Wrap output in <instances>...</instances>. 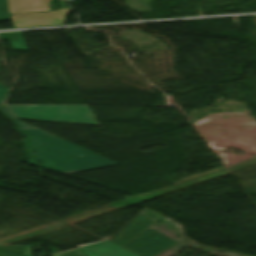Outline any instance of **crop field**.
Masks as SVG:
<instances>
[{"label":"crop field","instance_id":"9","mask_svg":"<svg viewBox=\"0 0 256 256\" xmlns=\"http://www.w3.org/2000/svg\"><path fill=\"white\" fill-rule=\"evenodd\" d=\"M8 39L14 50L26 51L20 32L0 34V40Z\"/></svg>","mask_w":256,"mask_h":256},{"label":"crop field","instance_id":"3","mask_svg":"<svg viewBox=\"0 0 256 256\" xmlns=\"http://www.w3.org/2000/svg\"><path fill=\"white\" fill-rule=\"evenodd\" d=\"M174 245L176 241L148 227L124 248L142 256H155Z\"/></svg>","mask_w":256,"mask_h":256},{"label":"crop field","instance_id":"13","mask_svg":"<svg viewBox=\"0 0 256 256\" xmlns=\"http://www.w3.org/2000/svg\"><path fill=\"white\" fill-rule=\"evenodd\" d=\"M8 92V89L6 87H4L1 83H0V104L2 103V101L4 100L6 94ZM1 107V106H0Z\"/></svg>","mask_w":256,"mask_h":256},{"label":"crop field","instance_id":"12","mask_svg":"<svg viewBox=\"0 0 256 256\" xmlns=\"http://www.w3.org/2000/svg\"><path fill=\"white\" fill-rule=\"evenodd\" d=\"M53 256H86L84 253H82L79 249L68 252V253H64V254H60V255H53Z\"/></svg>","mask_w":256,"mask_h":256},{"label":"crop field","instance_id":"7","mask_svg":"<svg viewBox=\"0 0 256 256\" xmlns=\"http://www.w3.org/2000/svg\"><path fill=\"white\" fill-rule=\"evenodd\" d=\"M10 14L50 11V0H8Z\"/></svg>","mask_w":256,"mask_h":256},{"label":"crop field","instance_id":"4","mask_svg":"<svg viewBox=\"0 0 256 256\" xmlns=\"http://www.w3.org/2000/svg\"><path fill=\"white\" fill-rule=\"evenodd\" d=\"M68 11V8H63L52 12L15 15L10 18L14 28L61 25Z\"/></svg>","mask_w":256,"mask_h":256},{"label":"crop field","instance_id":"14","mask_svg":"<svg viewBox=\"0 0 256 256\" xmlns=\"http://www.w3.org/2000/svg\"><path fill=\"white\" fill-rule=\"evenodd\" d=\"M23 140H24V143H25V146H26V149H27V153L29 155V163L39 167V165L36 164L37 162L35 161L36 162L35 163L34 160L32 159V153H31V151H30V149H29V147L26 143L25 137L23 138Z\"/></svg>","mask_w":256,"mask_h":256},{"label":"crop field","instance_id":"10","mask_svg":"<svg viewBox=\"0 0 256 256\" xmlns=\"http://www.w3.org/2000/svg\"><path fill=\"white\" fill-rule=\"evenodd\" d=\"M8 19L6 0H0V21Z\"/></svg>","mask_w":256,"mask_h":256},{"label":"crop field","instance_id":"11","mask_svg":"<svg viewBox=\"0 0 256 256\" xmlns=\"http://www.w3.org/2000/svg\"><path fill=\"white\" fill-rule=\"evenodd\" d=\"M84 124L98 126V122L94 114L86 115Z\"/></svg>","mask_w":256,"mask_h":256},{"label":"crop field","instance_id":"6","mask_svg":"<svg viewBox=\"0 0 256 256\" xmlns=\"http://www.w3.org/2000/svg\"><path fill=\"white\" fill-rule=\"evenodd\" d=\"M152 222L153 221L143 216H138L118 234H116L112 239H110V241L123 247L140 232H142L145 228H147Z\"/></svg>","mask_w":256,"mask_h":256},{"label":"crop field","instance_id":"5","mask_svg":"<svg viewBox=\"0 0 256 256\" xmlns=\"http://www.w3.org/2000/svg\"><path fill=\"white\" fill-rule=\"evenodd\" d=\"M87 256H139L110 241L79 248Z\"/></svg>","mask_w":256,"mask_h":256},{"label":"crop field","instance_id":"1","mask_svg":"<svg viewBox=\"0 0 256 256\" xmlns=\"http://www.w3.org/2000/svg\"><path fill=\"white\" fill-rule=\"evenodd\" d=\"M0 112L13 119L30 142L34 157L41 162L42 168L63 175L116 165L102 157L92 154L46 132L25 124L13 117L5 107Z\"/></svg>","mask_w":256,"mask_h":256},{"label":"crop field","instance_id":"8","mask_svg":"<svg viewBox=\"0 0 256 256\" xmlns=\"http://www.w3.org/2000/svg\"><path fill=\"white\" fill-rule=\"evenodd\" d=\"M0 256H32V246L0 247Z\"/></svg>","mask_w":256,"mask_h":256},{"label":"crop field","instance_id":"2","mask_svg":"<svg viewBox=\"0 0 256 256\" xmlns=\"http://www.w3.org/2000/svg\"><path fill=\"white\" fill-rule=\"evenodd\" d=\"M18 119L83 124L88 105H6Z\"/></svg>","mask_w":256,"mask_h":256}]
</instances>
